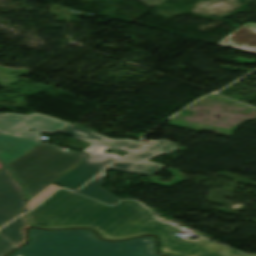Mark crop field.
Masks as SVG:
<instances>
[{"mask_svg": "<svg viewBox=\"0 0 256 256\" xmlns=\"http://www.w3.org/2000/svg\"><path fill=\"white\" fill-rule=\"evenodd\" d=\"M26 216L31 225L88 226L108 239L155 233L160 236L161 252L175 256H256L230 254L231 248L207 240H182L174 236L175 227L158 222L143 205L130 200L109 207L61 189Z\"/></svg>", "mask_w": 256, "mask_h": 256, "instance_id": "crop-field-1", "label": "crop field"}, {"mask_svg": "<svg viewBox=\"0 0 256 256\" xmlns=\"http://www.w3.org/2000/svg\"><path fill=\"white\" fill-rule=\"evenodd\" d=\"M3 166L1 163H0V167Z\"/></svg>", "mask_w": 256, "mask_h": 256, "instance_id": "crop-field-15", "label": "crop field"}, {"mask_svg": "<svg viewBox=\"0 0 256 256\" xmlns=\"http://www.w3.org/2000/svg\"><path fill=\"white\" fill-rule=\"evenodd\" d=\"M80 139L93 143L92 146L84 150L90 152V155L58 178L54 183L64 187L76 190L89 181L92 177L102 171L105 167L111 164L120 155H112L104 153L106 148L113 150H125L133 152L141 148L142 144L139 141L126 139H109L98 133L78 127L76 125H69L64 130L60 131Z\"/></svg>", "mask_w": 256, "mask_h": 256, "instance_id": "crop-field-4", "label": "crop field"}, {"mask_svg": "<svg viewBox=\"0 0 256 256\" xmlns=\"http://www.w3.org/2000/svg\"><path fill=\"white\" fill-rule=\"evenodd\" d=\"M14 244L0 236V256H3L5 253L10 251L11 249L15 248Z\"/></svg>", "mask_w": 256, "mask_h": 256, "instance_id": "crop-field-13", "label": "crop field"}, {"mask_svg": "<svg viewBox=\"0 0 256 256\" xmlns=\"http://www.w3.org/2000/svg\"><path fill=\"white\" fill-rule=\"evenodd\" d=\"M27 225L28 224L25 216H22L10 225L0 230V235L18 246L24 242V235L22 229Z\"/></svg>", "mask_w": 256, "mask_h": 256, "instance_id": "crop-field-11", "label": "crop field"}, {"mask_svg": "<svg viewBox=\"0 0 256 256\" xmlns=\"http://www.w3.org/2000/svg\"><path fill=\"white\" fill-rule=\"evenodd\" d=\"M42 143L7 166L25 188L27 201L88 154Z\"/></svg>", "mask_w": 256, "mask_h": 256, "instance_id": "crop-field-3", "label": "crop field"}, {"mask_svg": "<svg viewBox=\"0 0 256 256\" xmlns=\"http://www.w3.org/2000/svg\"><path fill=\"white\" fill-rule=\"evenodd\" d=\"M30 242L10 256H160L154 237L120 242L102 241L90 230L30 229Z\"/></svg>", "mask_w": 256, "mask_h": 256, "instance_id": "crop-field-2", "label": "crop field"}, {"mask_svg": "<svg viewBox=\"0 0 256 256\" xmlns=\"http://www.w3.org/2000/svg\"><path fill=\"white\" fill-rule=\"evenodd\" d=\"M178 149H180L178 145L167 140H150L146 143L145 149L120 159L110 167L119 171L151 176L162 169L165 165L152 163L148 160L160 154L172 153Z\"/></svg>", "mask_w": 256, "mask_h": 256, "instance_id": "crop-field-6", "label": "crop field"}, {"mask_svg": "<svg viewBox=\"0 0 256 256\" xmlns=\"http://www.w3.org/2000/svg\"><path fill=\"white\" fill-rule=\"evenodd\" d=\"M217 45L234 47L256 53V24L246 23L242 25Z\"/></svg>", "mask_w": 256, "mask_h": 256, "instance_id": "crop-field-8", "label": "crop field"}, {"mask_svg": "<svg viewBox=\"0 0 256 256\" xmlns=\"http://www.w3.org/2000/svg\"><path fill=\"white\" fill-rule=\"evenodd\" d=\"M241 5L242 4L237 0H212L210 2L201 1L191 11L193 13L218 17L225 13L235 11Z\"/></svg>", "mask_w": 256, "mask_h": 256, "instance_id": "crop-field-9", "label": "crop field"}, {"mask_svg": "<svg viewBox=\"0 0 256 256\" xmlns=\"http://www.w3.org/2000/svg\"><path fill=\"white\" fill-rule=\"evenodd\" d=\"M24 209L21 186L7 169L0 170V227L16 217Z\"/></svg>", "mask_w": 256, "mask_h": 256, "instance_id": "crop-field-7", "label": "crop field"}, {"mask_svg": "<svg viewBox=\"0 0 256 256\" xmlns=\"http://www.w3.org/2000/svg\"><path fill=\"white\" fill-rule=\"evenodd\" d=\"M69 124L71 123L42 114H0V160L5 165L8 164L40 143L42 132L54 134ZM32 127H35V130L30 132Z\"/></svg>", "mask_w": 256, "mask_h": 256, "instance_id": "crop-field-5", "label": "crop field"}, {"mask_svg": "<svg viewBox=\"0 0 256 256\" xmlns=\"http://www.w3.org/2000/svg\"><path fill=\"white\" fill-rule=\"evenodd\" d=\"M140 1L147 4L148 6L154 7L165 0H140Z\"/></svg>", "mask_w": 256, "mask_h": 256, "instance_id": "crop-field-14", "label": "crop field"}, {"mask_svg": "<svg viewBox=\"0 0 256 256\" xmlns=\"http://www.w3.org/2000/svg\"><path fill=\"white\" fill-rule=\"evenodd\" d=\"M59 186L51 184L48 186L45 190H43L41 193L36 195L34 198L29 200L27 203L29 205L28 210L37 205L39 202H41L43 199H45L48 195H50L54 190H56Z\"/></svg>", "mask_w": 256, "mask_h": 256, "instance_id": "crop-field-12", "label": "crop field"}, {"mask_svg": "<svg viewBox=\"0 0 256 256\" xmlns=\"http://www.w3.org/2000/svg\"><path fill=\"white\" fill-rule=\"evenodd\" d=\"M107 170L102 172L99 176H97L92 182H90L86 187L80 189L78 193L88 195L90 197L96 198L98 200L104 201L113 205L117 201H119L120 197H115L111 192L107 191L101 185L105 183L103 177Z\"/></svg>", "mask_w": 256, "mask_h": 256, "instance_id": "crop-field-10", "label": "crop field"}]
</instances>
